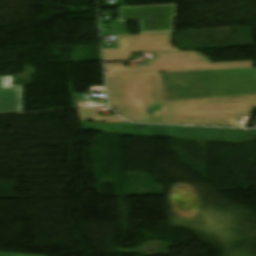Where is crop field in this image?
Returning a JSON list of instances; mask_svg holds the SVG:
<instances>
[{
	"mask_svg": "<svg viewBox=\"0 0 256 256\" xmlns=\"http://www.w3.org/2000/svg\"><path fill=\"white\" fill-rule=\"evenodd\" d=\"M110 105L128 121L245 128L256 95L164 102L160 73L106 76Z\"/></svg>",
	"mask_w": 256,
	"mask_h": 256,
	"instance_id": "8a807250",
	"label": "crop field"
},
{
	"mask_svg": "<svg viewBox=\"0 0 256 256\" xmlns=\"http://www.w3.org/2000/svg\"><path fill=\"white\" fill-rule=\"evenodd\" d=\"M171 36L172 32H167L116 38L118 49H103L105 62L128 61L130 53L149 52L155 53L156 60L148 61L147 67L105 64L106 75L254 67L253 61L212 63L196 51L177 52Z\"/></svg>",
	"mask_w": 256,
	"mask_h": 256,
	"instance_id": "ac0d7876",
	"label": "crop field"
},
{
	"mask_svg": "<svg viewBox=\"0 0 256 256\" xmlns=\"http://www.w3.org/2000/svg\"><path fill=\"white\" fill-rule=\"evenodd\" d=\"M87 131L240 142L246 131L130 123H83Z\"/></svg>",
	"mask_w": 256,
	"mask_h": 256,
	"instance_id": "34b2d1b8",
	"label": "crop field"
},
{
	"mask_svg": "<svg viewBox=\"0 0 256 256\" xmlns=\"http://www.w3.org/2000/svg\"><path fill=\"white\" fill-rule=\"evenodd\" d=\"M119 20L101 25L102 36L128 34L126 21L140 20L141 33L173 31L175 5L118 8ZM107 28H111L109 31Z\"/></svg>",
	"mask_w": 256,
	"mask_h": 256,
	"instance_id": "412701ff",
	"label": "crop field"
},
{
	"mask_svg": "<svg viewBox=\"0 0 256 256\" xmlns=\"http://www.w3.org/2000/svg\"><path fill=\"white\" fill-rule=\"evenodd\" d=\"M12 83L13 76H0V113L22 112L23 85Z\"/></svg>",
	"mask_w": 256,
	"mask_h": 256,
	"instance_id": "f4fd0767",
	"label": "crop field"
},
{
	"mask_svg": "<svg viewBox=\"0 0 256 256\" xmlns=\"http://www.w3.org/2000/svg\"><path fill=\"white\" fill-rule=\"evenodd\" d=\"M83 120H92L94 122H124L118 116H109V117H99L98 112L85 109L79 110Z\"/></svg>",
	"mask_w": 256,
	"mask_h": 256,
	"instance_id": "dd49c442",
	"label": "crop field"
},
{
	"mask_svg": "<svg viewBox=\"0 0 256 256\" xmlns=\"http://www.w3.org/2000/svg\"><path fill=\"white\" fill-rule=\"evenodd\" d=\"M0 256H29V255H19V254L0 253Z\"/></svg>",
	"mask_w": 256,
	"mask_h": 256,
	"instance_id": "e52e79f7",
	"label": "crop field"
},
{
	"mask_svg": "<svg viewBox=\"0 0 256 256\" xmlns=\"http://www.w3.org/2000/svg\"><path fill=\"white\" fill-rule=\"evenodd\" d=\"M121 36H128V35H119V36H116V37H121Z\"/></svg>",
	"mask_w": 256,
	"mask_h": 256,
	"instance_id": "d8731c3e",
	"label": "crop field"
}]
</instances>
